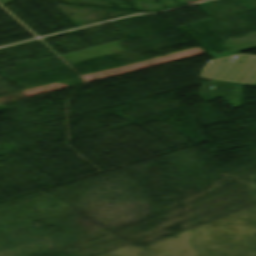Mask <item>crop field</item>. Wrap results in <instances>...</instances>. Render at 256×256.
<instances>
[{"label":"crop field","mask_w":256,"mask_h":256,"mask_svg":"<svg viewBox=\"0 0 256 256\" xmlns=\"http://www.w3.org/2000/svg\"><path fill=\"white\" fill-rule=\"evenodd\" d=\"M235 54L209 61L200 78L254 85L256 56ZM252 77V78H249Z\"/></svg>","instance_id":"obj_1"},{"label":"crop field","mask_w":256,"mask_h":256,"mask_svg":"<svg viewBox=\"0 0 256 256\" xmlns=\"http://www.w3.org/2000/svg\"><path fill=\"white\" fill-rule=\"evenodd\" d=\"M244 85L209 80L202 83L198 96L203 100L222 97L234 107L241 106ZM232 106V107H233Z\"/></svg>","instance_id":"obj_2"}]
</instances>
